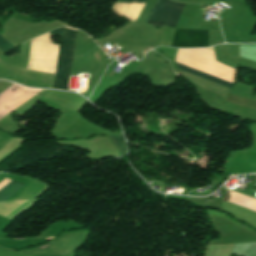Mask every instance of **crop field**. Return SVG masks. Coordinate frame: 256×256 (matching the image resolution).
I'll list each match as a JSON object with an SVG mask.
<instances>
[{
    "mask_svg": "<svg viewBox=\"0 0 256 256\" xmlns=\"http://www.w3.org/2000/svg\"><path fill=\"white\" fill-rule=\"evenodd\" d=\"M49 33L50 35L59 34L63 40V45H59L57 70L52 88L68 90L76 31L61 27Z\"/></svg>",
    "mask_w": 256,
    "mask_h": 256,
    "instance_id": "obj_1",
    "label": "crop field"
},
{
    "mask_svg": "<svg viewBox=\"0 0 256 256\" xmlns=\"http://www.w3.org/2000/svg\"><path fill=\"white\" fill-rule=\"evenodd\" d=\"M145 0H119L116 4L144 3ZM185 4L174 3L169 0H156L146 23L157 22L174 28ZM151 11V12H152Z\"/></svg>",
    "mask_w": 256,
    "mask_h": 256,
    "instance_id": "obj_2",
    "label": "crop field"
},
{
    "mask_svg": "<svg viewBox=\"0 0 256 256\" xmlns=\"http://www.w3.org/2000/svg\"><path fill=\"white\" fill-rule=\"evenodd\" d=\"M209 30L177 29L173 46H208Z\"/></svg>",
    "mask_w": 256,
    "mask_h": 256,
    "instance_id": "obj_3",
    "label": "crop field"
},
{
    "mask_svg": "<svg viewBox=\"0 0 256 256\" xmlns=\"http://www.w3.org/2000/svg\"><path fill=\"white\" fill-rule=\"evenodd\" d=\"M226 101L230 102L232 104H235V105H239V106H243L246 108L256 110V101H252V100L245 99V98L238 97V96L231 95V94L228 95V97L226 98Z\"/></svg>",
    "mask_w": 256,
    "mask_h": 256,
    "instance_id": "obj_4",
    "label": "crop field"
},
{
    "mask_svg": "<svg viewBox=\"0 0 256 256\" xmlns=\"http://www.w3.org/2000/svg\"><path fill=\"white\" fill-rule=\"evenodd\" d=\"M22 186H24V185L19 184L15 181H12L11 183H9L7 186H5L3 189L0 190V202L5 201L6 199H8L11 195H13Z\"/></svg>",
    "mask_w": 256,
    "mask_h": 256,
    "instance_id": "obj_5",
    "label": "crop field"
},
{
    "mask_svg": "<svg viewBox=\"0 0 256 256\" xmlns=\"http://www.w3.org/2000/svg\"><path fill=\"white\" fill-rule=\"evenodd\" d=\"M209 49H213V50H214L213 47H212V48H209ZM176 64H177V63H176ZM177 66H178V68H179L180 70H183V71H185V72H188V73L197 75V76H199V77H202V78L211 80V81H213V82H216V83L225 85V86L230 87V88H232V86H233V84H230V83H228V82L222 81V80L217 79V78H214V77H212V76H209V75H206V74L197 72V71H195V70H192V69H190V68L184 67V66H182V65L177 64Z\"/></svg>",
    "mask_w": 256,
    "mask_h": 256,
    "instance_id": "obj_6",
    "label": "crop field"
},
{
    "mask_svg": "<svg viewBox=\"0 0 256 256\" xmlns=\"http://www.w3.org/2000/svg\"><path fill=\"white\" fill-rule=\"evenodd\" d=\"M14 47L12 45H10L4 38H2L0 36V49L6 53L8 51H10L11 49H13Z\"/></svg>",
    "mask_w": 256,
    "mask_h": 256,
    "instance_id": "obj_7",
    "label": "crop field"
}]
</instances>
